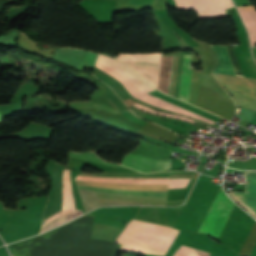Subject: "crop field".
<instances>
[{
	"instance_id": "8a807250",
	"label": "crop field",
	"mask_w": 256,
	"mask_h": 256,
	"mask_svg": "<svg viewBox=\"0 0 256 256\" xmlns=\"http://www.w3.org/2000/svg\"><path fill=\"white\" fill-rule=\"evenodd\" d=\"M179 230L133 219L119 235L120 249L164 256Z\"/></svg>"
},
{
	"instance_id": "ac0d7876",
	"label": "crop field",
	"mask_w": 256,
	"mask_h": 256,
	"mask_svg": "<svg viewBox=\"0 0 256 256\" xmlns=\"http://www.w3.org/2000/svg\"><path fill=\"white\" fill-rule=\"evenodd\" d=\"M75 181L77 184H83V185H96V186H109V187H122V188L161 190V191L168 190V185H159V184L121 183V182L84 181V180H75ZM83 185H77V187L82 189H91V190L167 196V192H161V191L122 189V188L83 186ZM96 193H97V197L110 198V199H116V200L135 201V202H140L141 205L166 206V200H167V197H161V196L101 192V191H96Z\"/></svg>"
},
{
	"instance_id": "34b2d1b8",
	"label": "crop field",
	"mask_w": 256,
	"mask_h": 256,
	"mask_svg": "<svg viewBox=\"0 0 256 256\" xmlns=\"http://www.w3.org/2000/svg\"><path fill=\"white\" fill-rule=\"evenodd\" d=\"M100 57H104V58H108L105 57L103 55H98ZM98 59L102 60V61H106L109 62L111 64H113L114 66L118 67L120 70H122L125 74H127L137 85L138 87L144 92H150L153 90H156L155 88H153L150 84H148L142 77H140L138 74H136L134 71H132L125 63L117 61L115 59L112 58H108V59H112L115 60L119 63H121L122 65H124L125 67H127L130 71H132L137 77H139L145 84H147L149 87H151L152 89H150L148 86L144 85V83L137 78L132 72H130L127 68H125L124 66L111 61V60H107V59H103V58H99ZM97 60L96 62V66H98L99 68H101V70L105 71L107 74L115 77L118 79V81L121 82V84L124 86V88L133 96H137V95H141L144 94L137 86L136 84L128 77L126 76L123 72H121L118 68L106 63V62H102ZM116 79V80H117Z\"/></svg>"
},
{
	"instance_id": "412701ff",
	"label": "crop field",
	"mask_w": 256,
	"mask_h": 256,
	"mask_svg": "<svg viewBox=\"0 0 256 256\" xmlns=\"http://www.w3.org/2000/svg\"><path fill=\"white\" fill-rule=\"evenodd\" d=\"M213 74L221 82L256 87V79L254 78L223 75L216 73ZM233 84H225V86L227 87L229 92L235 97L238 105L256 112V88Z\"/></svg>"
},
{
	"instance_id": "f4fd0767",
	"label": "crop field",
	"mask_w": 256,
	"mask_h": 256,
	"mask_svg": "<svg viewBox=\"0 0 256 256\" xmlns=\"http://www.w3.org/2000/svg\"><path fill=\"white\" fill-rule=\"evenodd\" d=\"M233 205L221 188L198 233H205L217 239Z\"/></svg>"
},
{
	"instance_id": "dd49c442",
	"label": "crop field",
	"mask_w": 256,
	"mask_h": 256,
	"mask_svg": "<svg viewBox=\"0 0 256 256\" xmlns=\"http://www.w3.org/2000/svg\"><path fill=\"white\" fill-rule=\"evenodd\" d=\"M82 214V212L75 210L70 173L69 170L65 169L63 176L62 210L43 221L41 232L62 224L75 217H78Z\"/></svg>"
},
{
	"instance_id": "e52e79f7",
	"label": "crop field",
	"mask_w": 256,
	"mask_h": 256,
	"mask_svg": "<svg viewBox=\"0 0 256 256\" xmlns=\"http://www.w3.org/2000/svg\"><path fill=\"white\" fill-rule=\"evenodd\" d=\"M178 9H193L199 19L224 17L225 9L234 7L231 0H174Z\"/></svg>"
},
{
	"instance_id": "d8731c3e",
	"label": "crop field",
	"mask_w": 256,
	"mask_h": 256,
	"mask_svg": "<svg viewBox=\"0 0 256 256\" xmlns=\"http://www.w3.org/2000/svg\"><path fill=\"white\" fill-rule=\"evenodd\" d=\"M197 106L228 120L234 115L235 106L216 93L200 87Z\"/></svg>"
},
{
	"instance_id": "5a996713",
	"label": "crop field",
	"mask_w": 256,
	"mask_h": 256,
	"mask_svg": "<svg viewBox=\"0 0 256 256\" xmlns=\"http://www.w3.org/2000/svg\"><path fill=\"white\" fill-rule=\"evenodd\" d=\"M159 54V53H154ZM118 56L161 57V55L126 54ZM117 57L129 64L131 68H159L160 58ZM153 86L157 85L159 69H134Z\"/></svg>"
},
{
	"instance_id": "3316defc",
	"label": "crop field",
	"mask_w": 256,
	"mask_h": 256,
	"mask_svg": "<svg viewBox=\"0 0 256 256\" xmlns=\"http://www.w3.org/2000/svg\"><path fill=\"white\" fill-rule=\"evenodd\" d=\"M97 55L96 53L73 48H57L51 58L82 70L84 67L91 68V64L94 65Z\"/></svg>"
},
{
	"instance_id": "28ad6ade",
	"label": "crop field",
	"mask_w": 256,
	"mask_h": 256,
	"mask_svg": "<svg viewBox=\"0 0 256 256\" xmlns=\"http://www.w3.org/2000/svg\"><path fill=\"white\" fill-rule=\"evenodd\" d=\"M246 193L229 192L228 194L253 216H256V171H246Z\"/></svg>"
},
{
	"instance_id": "d1516ede",
	"label": "crop field",
	"mask_w": 256,
	"mask_h": 256,
	"mask_svg": "<svg viewBox=\"0 0 256 256\" xmlns=\"http://www.w3.org/2000/svg\"><path fill=\"white\" fill-rule=\"evenodd\" d=\"M151 159L140 157L132 154L124 156L121 164L132 167L134 169L151 172L150 171ZM171 160H154L152 159L151 170L155 172L170 169Z\"/></svg>"
},
{
	"instance_id": "22f410ed",
	"label": "crop field",
	"mask_w": 256,
	"mask_h": 256,
	"mask_svg": "<svg viewBox=\"0 0 256 256\" xmlns=\"http://www.w3.org/2000/svg\"><path fill=\"white\" fill-rule=\"evenodd\" d=\"M146 103H149V104H152L154 106H157V107H160V108H163V109H168V110H172V111H175L177 113H180V114H184V115H187V116H190V117H194V118H197V119H200L202 121H205L207 123H215L214 121L212 120H209L207 118H204V117H201L199 115H196L194 113H191L189 111H186L184 109H181L179 107H176L174 105H171L153 95H150V94H146V95H143V96H139V97H136Z\"/></svg>"
},
{
	"instance_id": "cbeb9de0",
	"label": "crop field",
	"mask_w": 256,
	"mask_h": 256,
	"mask_svg": "<svg viewBox=\"0 0 256 256\" xmlns=\"http://www.w3.org/2000/svg\"><path fill=\"white\" fill-rule=\"evenodd\" d=\"M237 8L251 36V44L254 45L256 43V12L254 7L249 6Z\"/></svg>"
},
{
	"instance_id": "5142ce71",
	"label": "crop field",
	"mask_w": 256,
	"mask_h": 256,
	"mask_svg": "<svg viewBox=\"0 0 256 256\" xmlns=\"http://www.w3.org/2000/svg\"><path fill=\"white\" fill-rule=\"evenodd\" d=\"M212 47L216 51L219 59V63L216 66L214 72L235 75L232 64H231V60L228 54L227 47H221V46H215V45H212Z\"/></svg>"
},
{
	"instance_id": "d9b57169",
	"label": "crop field",
	"mask_w": 256,
	"mask_h": 256,
	"mask_svg": "<svg viewBox=\"0 0 256 256\" xmlns=\"http://www.w3.org/2000/svg\"><path fill=\"white\" fill-rule=\"evenodd\" d=\"M190 59H191V55H184L180 94H179V98L186 102H188V98H189L191 69L188 66L190 64Z\"/></svg>"
},
{
	"instance_id": "733c2abd",
	"label": "crop field",
	"mask_w": 256,
	"mask_h": 256,
	"mask_svg": "<svg viewBox=\"0 0 256 256\" xmlns=\"http://www.w3.org/2000/svg\"><path fill=\"white\" fill-rule=\"evenodd\" d=\"M139 132L159 137L168 142H172L179 138L177 135L171 133L170 131L148 122H146V124L139 130Z\"/></svg>"
},
{
	"instance_id": "4a817a6b",
	"label": "crop field",
	"mask_w": 256,
	"mask_h": 256,
	"mask_svg": "<svg viewBox=\"0 0 256 256\" xmlns=\"http://www.w3.org/2000/svg\"><path fill=\"white\" fill-rule=\"evenodd\" d=\"M256 242V221L238 256H248Z\"/></svg>"
},
{
	"instance_id": "bc2a9ffb",
	"label": "crop field",
	"mask_w": 256,
	"mask_h": 256,
	"mask_svg": "<svg viewBox=\"0 0 256 256\" xmlns=\"http://www.w3.org/2000/svg\"><path fill=\"white\" fill-rule=\"evenodd\" d=\"M69 156L74 157V158H83V159L96 161V162L103 163V164L108 165V166L122 167V166H118V165H115V164H112V163H106L105 161L101 160L100 158H98L97 156H95L91 152H87V153L70 152Z\"/></svg>"
},
{
	"instance_id": "214f88e0",
	"label": "crop field",
	"mask_w": 256,
	"mask_h": 256,
	"mask_svg": "<svg viewBox=\"0 0 256 256\" xmlns=\"http://www.w3.org/2000/svg\"><path fill=\"white\" fill-rule=\"evenodd\" d=\"M133 106L138 107V108H140V109H142V110H144V111H147V112H149V113H151V114L164 115V116H168V117H172V118H176V119L185 120V121H187V122H189V123H192V124L194 123V121H192V120H190V119H188V118H186V117L175 116V115H170V114H166V113L154 111V110H152V109H150V108H148V107H146V106H144V105H142V104H140V103H136V104H134Z\"/></svg>"
},
{
	"instance_id": "92a150f3",
	"label": "crop field",
	"mask_w": 256,
	"mask_h": 256,
	"mask_svg": "<svg viewBox=\"0 0 256 256\" xmlns=\"http://www.w3.org/2000/svg\"><path fill=\"white\" fill-rule=\"evenodd\" d=\"M189 179H170L169 188H182L186 187Z\"/></svg>"
},
{
	"instance_id": "dafd665d",
	"label": "crop field",
	"mask_w": 256,
	"mask_h": 256,
	"mask_svg": "<svg viewBox=\"0 0 256 256\" xmlns=\"http://www.w3.org/2000/svg\"><path fill=\"white\" fill-rule=\"evenodd\" d=\"M102 54L109 55V56H112V57L116 58L115 56H113V55H111V54H106V53H102Z\"/></svg>"
},
{
	"instance_id": "00972430",
	"label": "crop field",
	"mask_w": 256,
	"mask_h": 256,
	"mask_svg": "<svg viewBox=\"0 0 256 256\" xmlns=\"http://www.w3.org/2000/svg\"><path fill=\"white\" fill-rule=\"evenodd\" d=\"M0 120H1V116H0Z\"/></svg>"
}]
</instances>
